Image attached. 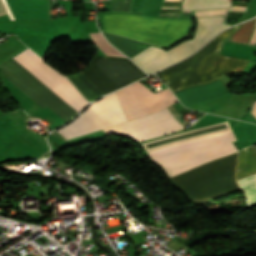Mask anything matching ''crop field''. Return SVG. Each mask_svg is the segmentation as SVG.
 Masks as SVG:
<instances>
[{"instance_id":"obj_1","label":"crop field","mask_w":256,"mask_h":256,"mask_svg":"<svg viewBox=\"0 0 256 256\" xmlns=\"http://www.w3.org/2000/svg\"><path fill=\"white\" fill-rule=\"evenodd\" d=\"M238 27L215 37L190 58L158 72L172 91L215 80L229 72H241L249 60L219 55L222 41Z\"/></svg>"},{"instance_id":"obj_2","label":"crop field","mask_w":256,"mask_h":256,"mask_svg":"<svg viewBox=\"0 0 256 256\" xmlns=\"http://www.w3.org/2000/svg\"><path fill=\"white\" fill-rule=\"evenodd\" d=\"M103 30L160 46L184 37L190 19H161L134 14H102Z\"/></svg>"},{"instance_id":"obj_3","label":"crop field","mask_w":256,"mask_h":256,"mask_svg":"<svg viewBox=\"0 0 256 256\" xmlns=\"http://www.w3.org/2000/svg\"><path fill=\"white\" fill-rule=\"evenodd\" d=\"M236 153L193 168L171 178L194 202H204L230 191L236 190L234 179Z\"/></svg>"},{"instance_id":"obj_4","label":"crop field","mask_w":256,"mask_h":256,"mask_svg":"<svg viewBox=\"0 0 256 256\" xmlns=\"http://www.w3.org/2000/svg\"><path fill=\"white\" fill-rule=\"evenodd\" d=\"M232 132L149 153L169 177L238 150Z\"/></svg>"},{"instance_id":"obj_5","label":"crop field","mask_w":256,"mask_h":256,"mask_svg":"<svg viewBox=\"0 0 256 256\" xmlns=\"http://www.w3.org/2000/svg\"><path fill=\"white\" fill-rule=\"evenodd\" d=\"M223 17L196 18L198 25L194 39L186 41L166 52L150 46L131 58V60L148 74L170 63H175L192 54L217 32L225 28L222 24Z\"/></svg>"},{"instance_id":"obj_6","label":"crop field","mask_w":256,"mask_h":256,"mask_svg":"<svg viewBox=\"0 0 256 256\" xmlns=\"http://www.w3.org/2000/svg\"><path fill=\"white\" fill-rule=\"evenodd\" d=\"M103 95L144 76L129 59L95 57L88 68L80 71Z\"/></svg>"},{"instance_id":"obj_7","label":"crop field","mask_w":256,"mask_h":256,"mask_svg":"<svg viewBox=\"0 0 256 256\" xmlns=\"http://www.w3.org/2000/svg\"><path fill=\"white\" fill-rule=\"evenodd\" d=\"M127 120L119 99L114 92L94 102L69 125L58 131L70 139Z\"/></svg>"},{"instance_id":"obj_8","label":"crop field","mask_w":256,"mask_h":256,"mask_svg":"<svg viewBox=\"0 0 256 256\" xmlns=\"http://www.w3.org/2000/svg\"><path fill=\"white\" fill-rule=\"evenodd\" d=\"M13 59L77 111L87 103L64 76L45 64L28 48Z\"/></svg>"},{"instance_id":"obj_9","label":"crop field","mask_w":256,"mask_h":256,"mask_svg":"<svg viewBox=\"0 0 256 256\" xmlns=\"http://www.w3.org/2000/svg\"><path fill=\"white\" fill-rule=\"evenodd\" d=\"M180 125L167 108L135 118L133 120L103 129L104 132H116L118 134L133 137L140 141L159 135L181 130Z\"/></svg>"},{"instance_id":"obj_10","label":"crop field","mask_w":256,"mask_h":256,"mask_svg":"<svg viewBox=\"0 0 256 256\" xmlns=\"http://www.w3.org/2000/svg\"><path fill=\"white\" fill-rule=\"evenodd\" d=\"M116 93L129 120L160 110L178 101L168 88L153 94L139 82Z\"/></svg>"},{"instance_id":"obj_11","label":"crop field","mask_w":256,"mask_h":256,"mask_svg":"<svg viewBox=\"0 0 256 256\" xmlns=\"http://www.w3.org/2000/svg\"><path fill=\"white\" fill-rule=\"evenodd\" d=\"M256 173V151L252 146L241 150L238 154L236 179ZM244 190L251 205L256 203V174L237 181Z\"/></svg>"},{"instance_id":"obj_12","label":"crop field","mask_w":256,"mask_h":256,"mask_svg":"<svg viewBox=\"0 0 256 256\" xmlns=\"http://www.w3.org/2000/svg\"><path fill=\"white\" fill-rule=\"evenodd\" d=\"M10 20L36 18L51 20L49 0H2Z\"/></svg>"},{"instance_id":"obj_13","label":"crop field","mask_w":256,"mask_h":256,"mask_svg":"<svg viewBox=\"0 0 256 256\" xmlns=\"http://www.w3.org/2000/svg\"><path fill=\"white\" fill-rule=\"evenodd\" d=\"M103 35L108 40V42H110L115 47H117L120 51H122L124 54H126L129 58L150 45V44L126 39L123 37H119V36H115V35H111V34H107V33H103Z\"/></svg>"},{"instance_id":"obj_14","label":"crop field","mask_w":256,"mask_h":256,"mask_svg":"<svg viewBox=\"0 0 256 256\" xmlns=\"http://www.w3.org/2000/svg\"><path fill=\"white\" fill-rule=\"evenodd\" d=\"M230 1L228 0H183V9H199V8H219L230 7Z\"/></svg>"},{"instance_id":"obj_15","label":"crop field","mask_w":256,"mask_h":256,"mask_svg":"<svg viewBox=\"0 0 256 256\" xmlns=\"http://www.w3.org/2000/svg\"><path fill=\"white\" fill-rule=\"evenodd\" d=\"M255 20L256 18L249 22L241 24V28L233 34L230 41L247 44L249 41Z\"/></svg>"},{"instance_id":"obj_16","label":"crop field","mask_w":256,"mask_h":256,"mask_svg":"<svg viewBox=\"0 0 256 256\" xmlns=\"http://www.w3.org/2000/svg\"><path fill=\"white\" fill-rule=\"evenodd\" d=\"M90 36L105 55L124 57L104 40L101 33H92Z\"/></svg>"},{"instance_id":"obj_17","label":"crop field","mask_w":256,"mask_h":256,"mask_svg":"<svg viewBox=\"0 0 256 256\" xmlns=\"http://www.w3.org/2000/svg\"><path fill=\"white\" fill-rule=\"evenodd\" d=\"M4 14H7V13L5 11L2 1L0 0V15H4Z\"/></svg>"},{"instance_id":"obj_18","label":"crop field","mask_w":256,"mask_h":256,"mask_svg":"<svg viewBox=\"0 0 256 256\" xmlns=\"http://www.w3.org/2000/svg\"><path fill=\"white\" fill-rule=\"evenodd\" d=\"M251 113L255 116L256 118V101L253 103L252 111Z\"/></svg>"}]
</instances>
